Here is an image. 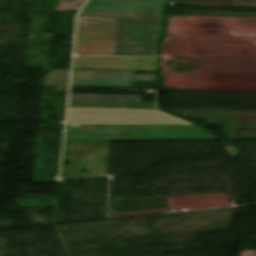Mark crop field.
I'll list each match as a JSON object with an SVG mask.
<instances>
[{"instance_id": "obj_8", "label": "crop field", "mask_w": 256, "mask_h": 256, "mask_svg": "<svg viewBox=\"0 0 256 256\" xmlns=\"http://www.w3.org/2000/svg\"><path fill=\"white\" fill-rule=\"evenodd\" d=\"M69 107L157 109L156 103H141V96L70 94Z\"/></svg>"}, {"instance_id": "obj_1", "label": "crop field", "mask_w": 256, "mask_h": 256, "mask_svg": "<svg viewBox=\"0 0 256 256\" xmlns=\"http://www.w3.org/2000/svg\"><path fill=\"white\" fill-rule=\"evenodd\" d=\"M163 25L79 16L75 53L158 56Z\"/></svg>"}, {"instance_id": "obj_4", "label": "crop field", "mask_w": 256, "mask_h": 256, "mask_svg": "<svg viewBox=\"0 0 256 256\" xmlns=\"http://www.w3.org/2000/svg\"><path fill=\"white\" fill-rule=\"evenodd\" d=\"M168 0H89L80 15L103 18L162 22V12Z\"/></svg>"}, {"instance_id": "obj_5", "label": "crop field", "mask_w": 256, "mask_h": 256, "mask_svg": "<svg viewBox=\"0 0 256 256\" xmlns=\"http://www.w3.org/2000/svg\"><path fill=\"white\" fill-rule=\"evenodd\" d=\"M109 145L110 142L65 143L63 162L69 164L62 165L61 178L105 175Z\"/></svg>"}, {"instance_id": "obj_2", "label": "crop field", "mask_w": 256, "mask_h": 256, "mask_svg": "<svg viewBox=\"0 0 256 256\" xmlns=\"http://www.w3.org/2000/svg\"><path fill=\"white\" fill-rule=\"evenodd\" d=\"M216 139L195 126L67 125L65 142Z\"/></svg>"}, {"instance_id": "obj_7", "label": "crop field", "mask_w": 256, "mask_h": 256, "mask_svg": "<svg viewBox=\"0 0 256 256\" xmlns=\"http://www.w3.org/2000/svg\"><path fill=\"white\" fill-rule=\"evenodd\" d=\"M73 69L158 71V60L74 57Z\"/></svg>"}, {"instance_id": "obj_10", "label": "crop field", "mask_w": 256, "mask_h": 256, "mask_svg": "<svg viewBox=\"0 0 256 256\" xmlns=\"http://www.w3.org/2000/svg\"><path fill=\"white\" fill-rule=\"evenodd\" d=\"M239 7H256V0H240Z\"/></svg>"}, {"instance_id": "obj_6", "label": "crop field", "mask_w": 256, "mask_h": 256, "mask_svg": "<svg viewBox=\"0 0 256 256\" xmlns=\"http://www.w3.org/2000/svg\"><path fill=\"white\" fill-rule=\"evenodd\" d=\"M133 72L73 70V85L129 87L136 80L157 81V75H132Z\"/></svg>"}, {"instance_id": "obj_9", "label": "crop field", "mask_w": 256, "mask_h": 256, "mask_svg": "<svg viewBox=\"0 0 256 256\" xmlns=\"http://www.w3.org/2000/svg\"><path fill=\"white\" fill-rule=\"evenodd\" d=\"M170 5L235 6L239 0H173Z\"/></svg>"}, {"instance_id": "obj_3", "label": "crop field", "mask_w": 256, "mask_h": 256, "mask_svg": "<svg viewBox=\"0 0 256 256\" xmlns=\"http://www.w3.org/2000/svg\"><path fill=\"white\" fill-rule=\"evenodd\" d=\"M67 124L194 125L158 110L69 108Z\"/></svg>"}]
</instances>
